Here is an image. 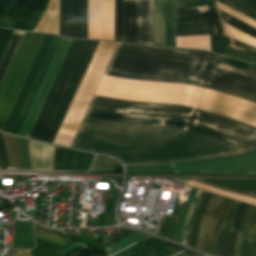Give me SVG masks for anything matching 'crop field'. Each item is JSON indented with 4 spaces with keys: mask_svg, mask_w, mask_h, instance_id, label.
<instances>
[{
    "mask_svg": "<svg viewBox=\"0 0 256 256\" xmlns=\"http://www.w3.org/2000/svg\"><path fill=\"white\" fill-rule=\"evenodd\" d=\"M216 6H217L218 9H220V10H222L224 12H227L230 15H232V16H234V17H236V18H238V19H240V20H242V21H244V22H246V23L256 27V21H254V20H252V19H250V18H248V17H246V16H244V15H242V14H240V13H238V12H236V11L230 9V8H228L227 6L221 4V3L217 2V1H216Z\"/></svg>",
    "mask_w": 256,
    "mask_h": 256,
    "instance_id": "crop-field-27",
    "label": "crop field"
},
{
    "mask_svg": "<svg viewBox=\"0 0 256 256\" xmlns=\"http://www.w3.org/2000/svg\"><path fill=\"white\" fill-rule=\"evenodd\" d=\"M2 135L3 134L0 133V169H10L3 145Z\"/></svg>",
    "mask_w": 256,
    "mask_h": 256,
    "instance_id": "crop-field-33",
    "label": "crop field"
},
{
    "mask_svg": "<svg viewBox=\"0 0 256 256\" xmlns=\"http://www.w3.org/2000/svg\"><path fill=\"white\" fill-rule=\"evenodd\" d=\"M115 192L116 190L110 189V192L108 194L106 210H105V226L110 225V222H111V206H112Z\"/></svg>",
    "mask_w": 256,
    "mask_h": 256,
    "instance_id": "crop-field-32",
    "label": "crop field"
},
{
    "mask_svg": "<svg viewBox=\"0 0 256 256\" xmlns=\"http://www.w3.org/2000/svg\"><path fill=\"white\" fill-rule=\"evenodd\" d=\"M247 193H251V194L256 195V188L255 187L251 188L249 191H247Z\"/></svg>",
    "mask_w": 256,
    "mask_h": 256,
    "instance_id": "crop-field-41",
    "label": "crop field"
},
{
    "mask_svg": "<svg viewBox=\"0 0 256 256\" xmlns=\"http://www.w3.org/2000/svg\"><path fill=\"white\" fill-rule=\"evenodd\" d=\"M221 198H222L221 196L212 194L209 199L205 213L201 220L199 233H198V237H197V242H196V246H195L196 249H200L203 251L205 249L207 235H208L209 229L211 227L213 218L215 216V213H216V210L218 208Z\"/></svg>",
    "mask_w": 256,
    "mask_h": 256,
    "instance_id": "crop-field-16",
    "label": "crop field"
},
{
    "mask_svg": "<svg viewBox=\"0 0 256 256\" xmlns=\"http://www.w3.org/2000/svg\"><path fill=\"white\" fill-rule=\"evenodd\" d=\"M196 190L197 189H195V188L192 189V191L190 193V196H189V198H188V200H187V202L184 206V210H183V214H182L181 221H180V226H179L178 238H177V241L180 242V243H181V240H182L184 220L186 218V215L188 213L192 198H193Z\"/></svg>",
    "mask_w": 256,
    "mask_h": 256,
    "instance_id": "crop-field-28",
    "label": "crop field"
},
{
    "mask_svg": "<svg viewBox=\"0 0 256 256\" xmlns=\"http://www.w3.org/2000/svg\"><path fill=\"white\" fill-rule=\"evenodd\" d=\"M134 232L135 231L119 229V233L110 236L111 244L119 241L120 239H122V238H124V237H126V236H128V235H130Z\"/></svg>",
    "mask_w": 256,
    "mask_h": 256,
    "instance_id": "crop-field-35",
    "label": "crop field"
},
{
    "mask_svg": "<svg viewBox=\"0 0 256 256\" xmlns=\"http://www.w3.org/2000/svg\"><path fill=\"white\" fill-rule=\"evenodd\" d=\"M182 254H185V255H188V256H204V255H201L199 253H196V252H193V251H190V250H187V251L183 252ZM182 254H179L177 256H185V255H182Z\"/></svg>",
    "mask_w": 256,
    "mask_h": 256,
    "instance_id": "crop-field-40",
    "label": "crop field"
},
{
    "mask_svg": "<svg viewBox=\"0 0 256 256\" xmlns=\"http://www.w3.org/2000/svg\"><path fill=\"white\" fill-rule=\"evenodd\" d=\"M232 200L223 198L217 210L215 219L209 232L205 251L213 255V248L219 229L224 221L227 209Z\"/></svg>",
    "mask_w": 256,
    "mask_h": 256,
    "instance_id": "crop-field-18",
    "label": "crop field"
},
{
    "mask_svg": "<svg viewBox=\"0 0 256 256\" xmlns=\"http://www.w3.org/2000/svg\"><path fill=\"white\" fill-rule=\"evenodd\" d=\"M98 42L73 41L30 138L53 142Z\"/></svg>",
    "mask_w": 256,
    "mask_h": 256,
    "instance_id": "crop-field-2",
    "label": "crop field"
},
{
    "mask_svg": "<svg viewBox=\"0 0 256 256\" xmlns=\"http://www.w3.org/2000/svg\"><path fill=\"white\" fill-rule=\"evenodd\" d=\"M201 192H202L201 190H199V189L197 190V192L194 196V199L192 201L189 213H188L187 218L185 220L184 235H183V241H182V243H184V244L186 242V237H187L188 228H189L190 220H191V217H192V213H193V210H194V208H195V206H196V204L199 200Z\"/></svg>",
    "mask_w": 256,
    "mask_h": 256,
    "instance_id": "crop-field-29",
    "label": "crop field"
},
{
    "mask_svg": "<svg viewBox=\"0 0 256 256\" xmlns=\"http://www.w3.org/2000/svg\"><path fill=\"white\" fill-rule=\"evenodd\" d=\"M60 38L61 37L54 35L45 36L35 57V60L30 68V71L24 81V84L19 92V95L13 105V108L8 116V119L2 129L3 131L15 134L17 133Z\"/></svg>",
    "mask_w": 256,
    "mask_h": 256,
    "instance_id": "crop-field-4",
    "label": "crop field"
},
{
    "mask_svg": "<svg viewBox=\"0 0 256 256\" xmlns=\"http://www.w3.org/2000/svg\"><path fill=\"white\" fill-rule=\"evenodd\" d=\"M66 149L55 147L54 150V170H63Z\"/></svg>",
    "mask_w": 256,
    "mask_h": 256,
    "instance_id": "crop-field-31",
    "label": "crop field"
},
{
    "mask_svg": "<svg viewBox=\"0 0 256 256\" xmlns=\"http://www.w3.org/2000/svg\"><path fill=\"white\" fill-rule=\"evenodd\" d=\"M225 40L227 45L256 56V48L249 46L247 44H244L242 42L236 41L226 35H225Z\"/></svg>",
    "mask_w": 256,
    "mask_h": 256,
    "instance_id": "crop-field-26",
    "label": "crop field"
},
{
    "mask_svg": "<svg viewBox=\"0 0 256 256\" xmlns=\"http://www.w3.org/2000/svg\"><path fill=\"white\" fill-rule=\"evenodd\" d=\"M214 5V1L177 3V7Z\"/></svg>",
    "mask_w": 256,
    "mask_h": 256,
    "instance_id": "crop-field-37",
    "label": "crop field"
},
{
    "mask_svg": "<svg viewBox=\"0 0 256 256\" xmlns=\"http://www.w3.org/2000/svg\"><path fill=\"white\" fill-rule=\"evenodd\" d=\"M77 153L76 151H67L64 170H74Z\"/></svg>",
    "mask_w": 256,
    "mask_h": 256,
    "instance_id": "crop-field-34",
    "label": "crop field"
},
{
    "mask_svg": "<svg viewBox=\"0 0 256 256\" xmlns=\"http://www.w3.org/2000/svg\"><path fill=\"white\" fill-rule=\"evenodd\" d=\"M116 44L99 42L53 143L70 146ZM219 58L220 55L197 50L118 43L103 75L185 83L256 103V73L220 63ZM106 76L102 77L94 95L178 104L256 128L254 103L185 84ZM96 96L84 118L172 128L245 151L256 148V129L231 119L178 105ZM87 119L82 120L70 147L114 155L125 164H154L244 152L216 140L172 129Z\"/></svg>",
    "mask_w": 256,
    "mask_h": 256,
    "instance_id": "crop-field-1",
    "label": "crop field"
},
{
    "mask_svg": "<svg viewBox=\"0 0 256 256\" xmlns=\"http://www.w3.org/2000/svg\"><path fill=\"white\" fill-rule=\"evenodd\" d=\"M53 149L52 146L29 141L32 169L53 170Z\"/></svg>",
    "mask_w": 256,
    "mask_h": 256,
    "instance_id": "crop-field-14",
    "label": "crop field"
},
{
    "mask_svg": "<svg viewBox=\"0 0 256 256\" xmlns=\"http://www.w3.org/2000/svg\"><path fill=\"white\" fill-rule=\"evenodd\" d=\"M223 28H224V32L226 35H228L236 40L245 42L247 44H250V45H253L256 47V39L255 38L228 26L226 23H223Z\"/></svg>",
    "mask_w": 256,
    "mask_h": 256,
    "instance_id": "crop-field-24",
    "label": "crop field"
},
{
    "mask_svg": "<svg viewBox=\"0 0 256 256\" xmlns=\"http://www.w3.org/2000/svg\"><path fill=\"white\" fill-rule=\"evenodd\" d=\"M153 0H115V40L152 46Z\"/></svg>",
    "mask_w": 256,
    "mask_h": 256,
    "instance_id": "crop-field-3",
    "label": "crop field"
},
{
    "mask_svg": "<svg viewBox=\"0 0 256 256\" xmlns=\"http://www.w3.org/2000/svg\"><path fill=\"white\" fill-rule=\"evenodd\" d=\"M25 33L14 31L0 62V86Z\"/></svg>",
    "mask_w": 256,
    "mask_h": 256,
    "instance_id": "crop-field-17",
    "label": "crop field"
},
{
    "mask_svg": "<svg viewBox=\"0 0 256 256\" xmlns=\"http://www.w3.org/2000/svg\"><path fill=\"white\" fill-rule=\"evenodd\" d=\"M176 173L256 175V152L236 158L170 165Z\"/></svg>",
    "mask_w": 256,
    "mask_h": 256,
    "instance_id": "crop-field-7",
    "label": "crop field"
},
{
    "mask_svg": "<svg viewBox=\"0 0 256 256\" xmlns=\"http://www.w3.org/2000/svg\"><path fill=\"white\" fill-rule=\"evenodd\" d=\"M222 21L256 38V29L241 22L240 20L220 11Z\"/></svg>",
    "mask_w": 256,
    "mask_h": 256,
    "instance_id": "crop-field-23",
    "label": "crop field"
},
{
    "mask_svg": "<svg viewBox=\"0 0 256 256\" xmlns=\"http://www.w3.org/2000/svg\"><path fill=\"white\" fill-rule=\"evenodd\" d=\"M222 34L218 13L177 15L176 36Z\"/></svg>",
    "mask_w": 256,
    "mask_h": 256,
    "instance_id": "crop-field-11",
    "label": "crop field"
},
{
    "mask_svg": "<svg viewBox=\"0 0 256 256\" xmlns=\"http://www.w3.org/2000/svg\"><path fill=\"white\" fill-rule=\"evenodd\" d=\"M88 38L114 40V0H89Z\"/></svg>",
    "mask_w": 256,
    "mask_h": 256,
    "instance_id": "crop-field-10",
    "label": "crop field"
},
{
    "mask_svg": "<svg viewBox=\"0 0 256 256\" xmlns=\"http://www.w3.org/2000/svg\"><path fill=\"white\" fill-rule=\"evenodd\" d=\"M188 186L199 188L201 190H204V191H207V192H210V193H213V194L221 195V196H224V197H228V198H231V199H235V200H239V201H243V202H247V203L256 205V199H253V198H250V197L228 193V192L218 190V189H215V188H211V187H208V186H204V185H201L199 183L192 182V181H189Z\"/></svg>",
    "mask_w": 256,
    "mask_h": 256,
    "instance_id": "crop-field-21",
    "label": "crop field"
},
{
    "mask_svg": "<svg viewBox=\"0 0 256 256\" xmlns=\"http://www.w3.org/2000/svg\"><path fill=\"white\" fill-rule=\"evenodd\" d=\"M228 64H231V65H234V66L246 69V70H250V71L256 72V66L248 64V63H244V62H240V61H236V60L230 59Z\"/></svg>",
    "mask_w": 256,
    "mask_h": 256,
    "instance_id": "crop-field-36",
    "label": "crop field"
},
{
    "mask_svg": "<svg viewBox=\"0 0 256 256\" xmlns=\"http://www.w3.org/2000/svg\"><path fill=\"white\" fill-rule=\"evenodd\" d=\"M217 12L214 6L177 8V14Z\"/></svg>",
    "mask_w": 256,
    "mask_h": 256,
    "instance_id": "crop-field-30",
    "label": "crop field"
},
{
    "mask_svg": "<svg viewBox=\"0 0 256 256\" xmlns=\"http://www.w3.org/2000/svg\"><path fill=\"white\" fill-rule=\"evenodd\" d=\"M148 235L147 234H142V233H134L126 238H124L123 240L105 248L108 256L144 239L145 237H147Z\"/></svg>",
    "mask_w": 256,
    "mask_h": 256,
    "instance_id": "crop-field-22",
    "label": "crop field"
},
{
    "mask_svg": "<svg viewBox=\"0 0 256 256\" xmlns=\"http://www.w3.org/2000/svg\"><path fill=\"white\" fill-rule=\"evenodd\" d=\"M71 42V39L61 38L25 119L19 129L18 135L25 137L29 136Z\"/></svg>",
    "mask_w": 256,
    "mask_h": 256,
    "instance_id": "crop-field-6",
    "label": "crop field"
},
{
    "mask_svg": "<svg viewBox=\"0 0 256 256\" xmlns=\"http://www.w3.org/2000/svg\"><path fill=\"white\" fill-rule=\"evenodd\" d=\"M45 35L26 33L0 88V130Z\"/></svg>",
    "mask_w": 256,
    "mask_h": 256,
    "instance_id": "crop-field-5",
    "label": "crop field"
},
{
    "mask_svg": "<svg viewBox=\"0 0 256 256\" xmlns=\"http://www.w3.org/2000/svg\"><path fill=\"white\" fill-rule=\"evenodd\" d=\"M256 10V0H237Z\"/></svg>",
    "mask_w": 256,
    "mask_h": 256,
    "instance_id": "crop-field-38",
    "label": "crop field"
},
{
    "mask_svg": "<svg viewBox=\"0 0 256 256\" xmlns=\"http://www.w3.org/2000/svg\"><path fill=\"white\" fill-rule=\"evenodd\" d=\"M13 256H32L31 250H17Z\"/></svg>",
    "mask_w": 256,
    "mask_h": 256,
    "instance_id": "crop-field-39",
    "label": "crop field"
},
{
    "mask_svg": "<svg viewBox=\"0 0 256 256\" xmlns=\"http://www.w3.org/2000/svg\"><path fill=\"white\" fill-rule=\"evenodd\" d=\"M34 31L59 35V0H49Z\"/></svg>",
    "mask_w": 256,
    "mask_h": 256,
    "instance_id": "crop-field-15",
    "label": "crop field"
},
{
    "mask_svg": "<svg viewBox=\"0 0 256 256\" xmlns=\"http://www.w3.org/2000/svg\"><path fill=\"white\" fill-rule=\"evenodd\" d=\"M247 207H248V204H245L242 202L239 205L233 224L231 226V230L229 233V237L225 246L223 256H233L235 238L237 236L238 230L240 228V225Z\"/></svg>",
    "mask_w": 256,
    "mask_h": 256,
    "instance_id": "crop-field-19",
    "label": "crop field"
},
{
    "mask_svg": "<svg viewBox=\"0 0 256 256\" xmlns=\"http://www.w3.org/2000/svg\"><path fill=\"white\" fill-rule=\"evenodd\" d=\"M176 0H154L153 46L175 47Z\"/></svg>",
    "mask_w": 256,
    "mask_h": 256,
    "instance_id": "crop-field-8",
    "label": "crop field"
},
{
    "mask_svg": "<svg viewBox=\"0 0 256 256\" xmlns=\"http://www.w3.org/2000/svg\"><path fill=\"white\" fill-rule=\"evenodd\" d=\"M184 249L158 238L149 237L113 256H173Z\"/></svg>",
    "mask_w": 256,
    "mask_h": 256,
    "instance_id": "crop-field-12",
    "label": "crop field"
},
{
    "mask_svg": "<svg viewBox=\"0 0 256 256\" xmlns=\"http://www.w3.org/2000/svg\"><path fill=\"white\" fill-rule=\"evenodd\" d=\"M221 3L228 5L229 7L241 12L242 14L256 20V11L235 1V0H217Z\"/></svg>",
    "mask_w": 256,
    "mask_h": 256,
    "instance_id": "crop-field-25",
    "label": "crop field"
},
{
    "mask_svg": "<svg viewBox=\"0 0 256 256\" xmlns=\"http://www.w3.org/2000/svg\"><path fill=\"white\" fill-rule=\"evenodd\" d=\"M88 0H60V35L87 38Z\"/></svg>",
    "mask_w": 256,
    "mask_h": 256,
    "instance_id": "crop-field-9",
    "label": "crop field"
},
{
    "mask_svg": "<svg viewBox=\"0 0 256 256\" xmlns=\"http://www.w3.org/2000/svg\"><path fill=\"white\" fill-rule=\"evenodd\" d=\"M36 238L56 245L68 246L70 241L63 232L50 230L35 223Z\"/></svg>",
    "mask_w": 256,
    "mask_h": 256,
    "instance_id": "crop-field-20",
    "label": "crop field"
},
{
    "mask_svg": "<svg viewBox=\"0 0 256 256\" xmlns=\"http://www.w3.org/2000/svg\"><path fill=\"white\" fill-rule=\"evenodd\" d=\"M212 51L224 54L223 35H211ZM210 36L176 37V47L211 51Z\"/></svg>",
    "mask_w": 256,
    "mask_h": 256,
    "instance_id": "crop-field-13",
    "label": "crop field"
}]
</instances>
